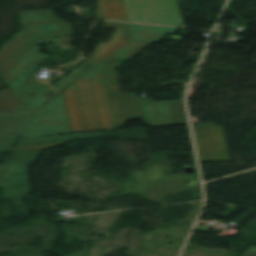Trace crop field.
<instances>
[{
	"instance_id": "crop-field-1",
	"label": "crop field",
	"mask_w": 256,
	"mask_h": 256,
	"mask_svg": "<svg viewBox=\"0 0 256 256\" xmlns=\"http://www.w3.org/2000/svg\"><path fill=\"white\" fill-rule=\"evenodd\" d=\"M128 21L183 26L176 0H123Z\"/></svg>"
},
{
	"instance_id": "crop-field-2",
	"label": "crop field",
	"mask_w": 256,
	"mask_h": 256,
	"mask_svg": "<svg viewBox=\"0 0 256 256\" xmlns=\"http://www.w3.org/2000/svg\"><path fill=\"white\" fill-rule=\"evenodd\" d=\"M95 67H97V65L87 61L53 86L62 92L67 87L86 75L88 72L93 70Z\"/></svg>"
},
{
	"instance_id": "crop-field-3",
	"label": "crop field",
	"mask_w": 256,
	"mask_h": 256,
	"mask_svg": "<svg viewBox=\"0 0 256 256\" xmlns=\"http://www.w3.org/2000/svg\"><path fill=\"white\" fill-rule=\"evenodd\" d=\"M39 82L44 83V84H47V85H49V86H52V85H50L48 82L43 81V80H39Z\"/></svg>"
},
{
	"instance_id": "crop-field-4",
	"label": "crop field",
	"mask_w": 256,
	"mask_h": 256,
	"mask_svg": "<svg viewBox=\"0 0 256 256\" xmlns=\"http://www.w3.org/2000/svg\"><path fill=\"white\" fill-rule=\"evenodd\" d=\"M22 30H24V29H22ZM26 31V30H25ZM28 32V31H27ZM38 37V36H37ZM40 38V37H39Z\"/></svg>"
}]
</instances>
